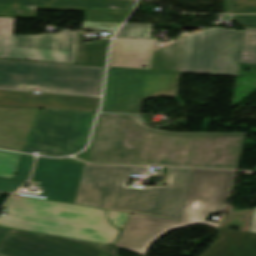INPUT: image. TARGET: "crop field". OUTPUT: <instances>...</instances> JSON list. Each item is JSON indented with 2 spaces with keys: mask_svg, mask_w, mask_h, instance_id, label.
Here are the masks:
<instances>
[{
  "mask_svg": "<svg viewBox=\"0 0 256 256\" xmlns=\"http://www.w3.org/2000/svg\"><path fill=\"white\" fill-rule=\"evenodd\" d=\"M247 133H174L136 115L100 114L87 161L237 169Z\"/></svg>",
  "mask_w": 256,
  "mask_h": 256,
  "instance_id": "crop-field-1",
  "label": "crop field"
},
{
  "mask_svg": "<svg viewBox=\"0 0 256 256\" xmlns=\"http://www.w3.org/2000/svg\"><path fill=\"white\" fill-rule=\"evenodd\" d=\"M243 33L210 28L160 51H153V41L114 40L109 67L236 77Z\"/></svg>",
  "mask_w": 256,
  "mask_h": 256,
  "instance_id": "crop-field-2",
  "label": "crop field"
},
{
  "mask_svg": "<svg viewBox=\"0 0 256 256\" xmlns=\"http://www.w3.org/2000/svg\"><path fill=\"white\" fill-rule=\"evenodd\" d=\"M193 169L168 168L165 187L127 188L132 172L146 167L87 165L75 203L103 209L178 220Z\"/></svg>",
  "mask_w": 256,
  "mask_h": 256,
  "instance_id": "crop-field-3",
  "label": "crop field"
},
{
  "mask_svg": "<svg viewBox=\"0 0 256 256\" xmlns=\"http://www.w3.org/2000/svg\"><path fill=\"white\" fill-rule=\"evenodd\" d=\"M9 215L0 225L36 233L113 245L119 230L104 210L13 195L5 206Z\"/></svg>",
  "mask_w": 256,
  "mask_h": 256,
  "instance_id": "crop-field-4",
  "label": "crop field"
},
{
  "mask_svg": "<svg viewBox=\"0 0 256 256\" xmlns=\"http://www.w3.org/2000/svg\"><path fill=\"white\" fill-rule=\"evenodd\" d=\"M103 67L0 59V88L99 95Z\"/></svg>",
  "mask_w": 256,
  "mask_h": 256,
  "instance_id": "crop-field-5",
  "label": "crop field"
},
{
  "mask_svg": "<svg viewBox=\"0 0 256 256\" xmlns=\"http://www.w3.org/2000/svg\"><path fill=\"white\" fill-rule=\"evenodd\" d=\"M180 73L109 68L103 112L140 113L142 100L175 98Z\"/></svg>",
  "mask_w": 256,
  "mask_h": 256,
  "instance_id": "crop-field-6",
  "label": "crop field"
},
{
  "mask_svg": "<svg viewBox=\"0 0 256 256\" xmlns=\"http://www.w3.org/2000/svg\"><path fill=\"white\" fill-rule=\"evenodd\" d=\"M94 113L44 109L39 112L23 152L65 156L86 146Z\"/></svg>",
  "mask_w": 256,
  "mask_h": 256,
  "instance_id": "crop-field-7",
  "label": "crop field"
},
{
  "mask_svg": "<svg viewBox=\"0 0 256 256\" xmlns=\"http://www.w3.org/2000/svg\"><path fill=\"white\" fill-rule=\"evenodd\" d=\"M15 18L0 17V57L72 63L78 31L13 36Z\"/></svg>",
  "mask_w": 256,
  "mask_h": 256,
  "instance_id": "crop-field-8",
  "label": "crop field"
},
{
  "mask_svg": "<svg viewBox=\"0 0 256 256\" xmlns=\"http://www.w3.org/2000/svg\"><path fill=\"white\" fill-rule=\"evenodd\" d=\"M4 256H117V248L9 229L0 242Z\"/></svg>",
  "mask_w": 256,
  "mask_h": 256,
  "instance_id": "crop-field-9",
  "label": "crop field"
},
{
  "mask_svg": "<svg viewBox=\"0 0 256 256\" xmlns=\"http://www.w3.org/2000/svg\"><path fill=\"white\" fill-rule=\"evenodd\" d=\"M135 0H0V16L36 18V9L84 11L85 20L124 22Z\"/></svg>",
  "mask_w": 256,
  "mask_h": 256,
  "instance_id": "crop-field-10",
  "label": "crop field"
},
{
  "mask_svg": "<svg viewBox=\"0 0 256 256\" xmlns=\"http://www.w3.org/2000/svg\"><path fill=\"white\" fill-rule=\"evenodd\" d=\"M233 171L194 169L180 220L217 226L207 216L223 211Z\"/></svg>",
  "mask_w": 256,
  "mask_h": 256,
  "instance_id": "crop-field-11",
  "label": "crop field"
},
{
  "mask_svg": "<svg viewBox=\"0 0 256 256\" xmlns=\"http://www.w3.org/2000/svg\"><path fill=\"white\" fill-rule=\"evenodd\" d=\"M83 164L38 158L34 180L44 188L47 199L73 203Z\"/></svg>",
  "mask_w": 256,
  "mask_h": 256,
  "instance_id": "crop-field-12",
  "label": "crop field"
},
{
  "mask_svg": "<svg viewBox=\"0 0 256 256\" xmlns=\"http://www.w3.org/2000/svg\"><path fill=\"white\" fill-rule=\"evenodd\" d=\"M192 223L131 214L115 245L144 255L151 243L164 234Z\"/></svg>",
  "mask_w": 256,
  "mask_h": 256,
  "instance_id": "crop-field-13",
  "label": "crop field"
},
{
  "mask_svg": "<svg viewBox=\"0 0 256 256\" xmlns=\"http://www.w3.org/2000/svg\"><path fill=\"white\" fill-rule=\"evenodd\" d=\"M99 98L74 95H33L31 92L0 89V105L34 108H53L92 112L97 108Z\"/></svg>",
  "mask_w": 256,
  "mask_h": 256,
  "instance_id": "crop-field-14",
  "label": "crop field"
},
{
  "mask_svg": "<svg viewBox=\"0 0 256 256\" xmlns=\"http://www.w3.org/2000/svg\"><path fill=\"white\" fill-rule=\"evenodd\" d=\"M39 109L0 106V149L22 152Z\"/></svg>",
  "mask_w": 256,
  "mask_h": 256,
  "instance_id": "crop-field-15",
  "label": "crop field"
},
{
  "mask_svg": "<svg viewBox=\"0 0 256 256\" xmlns=\"http://www.w3.org/2000/svg\"><path fill=\"white\" fill-rule=\"evenodd\" d=\"M216 229L219 239L201 256H256V234Z\"/></svg>",
  "mask_w": 256,
  "mask_h": 256,
  "instance_id": "crop-field-16",
  "label": "crop field"
},
{
  "mask_svg": "<svg viewBox=\"0 0 256 256\" xmlns=\"http://www.w3.org/2000/svg\"><path fill=\"white\" fill-rule=\"evenodd\" d=\"M108 39L101 43L83 44L81 34H78L73 63L104 66Z\"/></svg>",
  "mask_w": 256,
  "mask_h": 256,
  "instance_id": "crop-field-17",
  "label": "crop field"
},
{
  "mask_svg": "<svg viewBox=\"0 0 256 256\" xmlns=\"http://www.w3.org/2000/svg\"><path fill=\"white\" fill-rule=\"evenodd\" d=\"M33 159V156H22L14 179L0 177V191L14 192L16 189H18L28 179Z\"/></svg>",
  "mask_w": 256,
  "mask_h": 256,
  "instance_id": "crop-field-18",
  "label": "crop field"
},
{
  "mask_svg": "<svg viewBox=\"0 0 256 256\" xmlns=\"http://www.w3.org/2000/svg\"><path fill=\"white\" fill-rule=\"evenodd\" d=\"M239 63L256 64V30L245 29Z\"/></svg>",
  "mask_w": 256,
  "mask_h": 256,
  "instance_id": "crop-field-19",
  "label": "crop field"
},
{
  "mask_svg": "<svg viewBox=\"0 0 256 256\" xmlns=\"http://www.w3.org/2000/svg\"><path fill=\"white\" fill-rule=\"evenodd\" d=\"M151 28L152 25L126 24L117 32L115 38L148 39Z\"/></svg>",
  "mask_w": 256,
  "mask_h": 256,
  "instance_id": "crop-field-20",
  "label": "crop field"
},
{
  "mask_svg": "<svg viewBox=\"0 0 256 256\" xmlns=\"http://www.w3.org/2000/svg\"><path fill=\"white\" fill-rule=\"evenodd\" d=\"M20 158V154L0 152V176L13 178Z\"/></svg>",
  "mask_w": 256,
  "mask_h": 256,
  "instance_id": "crop-field-21",
  "label": "crop field"
},
{
  "mask_svg": "<svg viewBox=\"0 0 256 256\" xmlns=\"http://www.w3.org/2000/svg\"><path fill=\"white\" fill-rule=\"evenodd\" d=\"M224 13H256V0H223Z\"/></svg>",
  "mask_w": 256,
  "mask_h": 256,
  "instance_id": "crop-field-22",
  "label": "crop field"
},
{
  "mask_svg": "<svg viewBox=\"0 0 256 256\" xmlns=\"http://www.w3.org/2000/svg\"><path fill=\"white\" fill-rule=\"evenodd\" d=\"M121 23H105V22H91L84 21L82 23L81 29L88 30H104V31H114V29Z\"/></svg>",
  "mask_w": 256,
  "mask_h": 256,
  "instance_id": "crop-field-23",
  "label": "crop field"
},
{
  "mask_svg": "<svg viewBox=\"0 0 256 256\" xmlns=\"http://www.w3.org/2000/svg\"><path fill=\"white\" fill-rule=\"evenodd\" d=\"M106 211H107L110 222L120 228H123L127 218L130 215V213H121V212H115V211H109V210H106Z\"/></svg>",
  "mask_w": 256,
  "mask_h": 256,
  "instance_id": "crop-field-24",
  "label": "crop field"
},
{
  "mask_svg": "<svg viewBox=\"0 0 256 256\" xmlns=\"http://www.w3.org/2000/svg\"><path fill=\"white\" fill-rule=\"evenodd\" d=\"M232 18L237 19L244 27L256 28V15H234Z\"/></svg>",
  "mask_w": 256,
  "mask_h": 256,
  "instance_id": "crop-field-25",
  "label": "crop field"
},
{
  "mask_svg": "<svg viewBox=\"0 0 256 256\" xmlns=\"http://www.w3.org/2000/svg\"><path fill=\"white\" fill-rule=\"evenodd\" d=\"M249 232L256 233V208L250 224Z\"/></svg>",
  "mask_w": 256,
  "mask_h": 256,
  "instance_id": "crop-field-26",
  "label": "crop field"
},
{
  "mask_svg": "<svg viewBox=\"0 0 256 256\" xmlns=\"http://www.w3.org/2000/svg\"><path fill=\"white\" fill-rule=\"evenodd\" d=\"M7 230H8V228L1 227V226H0V240L2 239L1 236H2L3 234H5Z\"/></svg>",
  "mask_w": 256,
  "mask_h": 256,
  "instance_id": "crop-field-27",
  "label": "crop field"
},
{
  "mask_svg": "<svg viewBox=\"0 0 256 256\" xmlns=\"http://www.w3.org/2000/svg\"><path fill=\"white\" fill-rule=\"evenodd\" d=\"M88 150H89V149H88ZM88 150H86L84 153H82L81 155H78V156H76V157L85 160V159H86V156H87V153H88Z\"/></svg>",
  "mask_w": 256,
  "mask_h": 256,
  "instance_id": "crop-field-28",
  "label": "crop field"
},
{
  "mask_svg": "<svg viewBox=\"0 0 256 256\" xmlns=\"http://www.w3.org/2000/svg\"><path fill=\"white\" fill-rule=\"evenodd\" d=\"M59 160H64V161H70V162H76V163H82L78 160L72 159V158H65V159H59Z\"/></svg>",
  "mask_w": 256,
  "mask_h": 256,
  "instance_id": "crop-field-29",
  "label": "crop field"
}]
</instances>
